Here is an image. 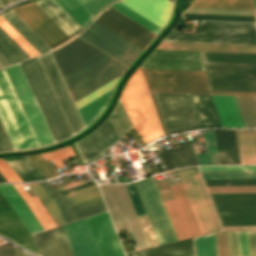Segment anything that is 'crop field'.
<instances>
[{
	"instance_id": "crop-field-67",
	"label": "crop field",
	"mask_w": 256,
	"mask_h": 256,
	"mask_svg": "<svg viewBox=\"0 0 256 256\" xmlns=\"http://www.w3.org/2000/svg\"><path fill=\"white\" fill-rule=\"evenodd\" d=\"M163 6L164 8L168 9L169 11H172L174 3L168 1V0H153Z\"/></svg>"
},
{
	"instance_id": "crop-field-59",
	"label": "crop field",
	"mask_w": 256,
	"mask_h": 256,
	"mask_svg": "<svg viewBox=\"0 0 256 256\" xmlns=\"http://www.w3.org/2000/svg\"><path fill=\"white\" fill-rule=\"evenodd\" d=\"M0 173L8 182H22L3 158H0Z\"/></svg>"
},
{
	"instance_id": "crop-field-3",
	"label": "crop field",
	"mask_w": 256,
	"mask_h": 256,
	"mask_svg": "<svg viewBox=\"0 0 256 256\" xmlns=\"http://www.w3.org/2000/svg\"><path fill=\"white\" fill-rule=\"evenodd\" d=\"M83 183L84 180L59 187L58 183L49 185L43 181L28 186L59 226L106 210L98 189L63 201L55 194Z\"/></svg>"
},
{
	"instance_id": "crop-field-53",
	"label": "crop field",
	"mask_w": 256,
	"mask_h": 256,
	"mask_svg": "<svg viewBox=\"0 0 256 256\" xmlns=\"http://www.w3.org/2000/svg\"><path fill=\"white\" fill-rule=\"evenodd\" d=\"M77 1L87 11V13L93 18V16L101 8H103L113 0H77Z\"/></svg>"
},
{
	"instance_id": "crop-field-69",
	"label": "crop field",
	"mask_w": 256,
	"mask_h": 256,
	"mask_svg": "<svg viewBox=\"0 0 256 256\" xmlns=\"http://www.w3.org/2000/svg\"><path fill=\"white\" fill-rule=\"evenodd\" d=\"M110 116H111V118H112V120H113V122H114V124H115V127H116V129H117V131H118L120 137H122L124 134H123V132H122V130H121V128H120V126H119V124H118V122H117V120H116L114 114H113V112H112V114H111Z\"/></svg>"
},
{
	"instance_id": "crop-field-46",
	"label": "crop field",
	"mask_w": 256,
	"mask_h": 256,
	"mask_svg": "<svg viewBox=\"0 0 256 256\" xmlns=\"http://www.w3.org/2000/svg\"><path fill=\"white\" fill-rule=\"evenodd\" d=\"M203 179L256 178V171L200 172Z\"/></svg>"
},
{
	"instance_id": "crop-field-20",
	"label": "crop field",
	"mask_w": 256,
	"mask_h": 256,
	"mask_svg": "<svg viewBox=\"0 0 256 256\" xmlns=\"http://www.w3.org/2000/svg\"><path fill=\"white\" fill-rule=\"evenodd\" d=\"M118 140L120 138L108 117L95 131L74 144L85 162L90 163L102 157V153Z\"/></svg>"
},
{
	"instance_id": "crop-field-33",
	"label": "crop field",
	"mask_w": 256,
	"mask_h": 256,
	"mask_svg": "<svg viewBox=\"0 0 256 256\" xmlns=\"http://www.w3.org/2000/svg\"><path fill=\"white\" fill-rule=\"evenodd\" d=\"M126 256H194L192 239L126 254Z\"/></svg>"
},
{
	"instance_id": "crop-field-56",
	"label": "crop field",
	"mask_w": 256,
	"mask_h": 256,
	"mask_svg": "<svg viewBox=\"0 0 256 256\" xmlns=\"http://www.w3.org/2000/svg\"><path fill=\"white\" fill-rule=\"evenodd\" d=\"M206 188L209 193L256 192V186L206 187Z\"/></svg>"
},
{
	"instance_id": "crop-field-31",
	"label": "crop field",
	"mask_w": 256,
	"mask_h": 256,
	"mask_svg": "<svg viewBox=\"0 0 256 256\" xmlns=\"http://www.w3.org/2000/svg\"><path fill=\"white\" fill-rule=\"evenodd\" d=\"M220 164H240L234 130H214Z\"/></svg>"
},
{
	"instance_id": "crop-field-8",
	"label": "crop field",
	"mask_w": 256,
	"mask_h": 256,
	"mask_svg": "<svg viewBox=\"0 0 256 256\" xmlns=\"http://www.w3.org/2000/svg\"><path fill=\"white\" fill-rule=\"evenodd\" d=\"M115 228L126 226L140 249L147 243L124 184L99 185Z\"/></svg>"
},
{
	"instance_id": "crop-field-78",
	"label": "crop field",
	"mask_w": 256,
	"mask_h": 256,
	"mask_svg": "<svg viewBox=\"0 0 256 256\" xmlns=\"http://www.w3.org/2000/svg\"><path fill=\"white\" fill-rule=\"evenodd\" d=\"M256 98V97H255Z\"/></svg>"
},
{
	"instance_id": "crop-field-41",
	"label": "crop field",
	"mask_w": 256,
	"mask_h": 256,
	"mask_svg": "<svg viewBox=\"0 0 256 256\" xmlns=\"http://www.w3.org/2000/svg\"><path fill=\"white\" fill-rule=\"evenodd\" d=\"M82 28L92 19L76 0H54Z\"/></svg>"
},
{
	"instance_id": "crop-field-34",
	"label": "crop field",
	"mask_w": 256,
	"mask_h": 256,
	"mask_svg": "<svg viewBox=\"0 0 256 256\" xmlns=\"http://www.w3.org/2000/svg\"><path fill=\"white\" fill-rule=\"evenodd\" d=\"M227 236L230 256H249V247L250 256H256V232H248L249 247L247 232H237L239 254L236 232H227Z\"/></svg>"
},
{
	"instance_id": "crop-field-12",
	"label": "crop field",
	"mask_w": 256,
	"mask_h": 256,
	"mask_svg": "<svg viewBox=\"0 0 256 256\" xmlns=\"http://www.w3.org/2000/svg\"><path fill=\"white\" fill-rule=\"evenodd\" d=\"M13 186L16 188L44 230L56 227V224L53 222L51 217L35 196L30 198L21 184H13ZM13 186L12 184H0V190L11 204L17 215L20 217L26 228L29 230L31 235L43 231V228L40 226Z\"/></svg>"
},
{
	"instance_id": "crop-field-43",
	"label": "crop field",
	"mask_w": 256,
	"mask_h": 256,
	"mask_svg": "<svg viewBox=\"0 0 256 256\" xmlns=\"http://www.w3.org/2000/svg\"><path fill=\"white\" fill-rule=\"evenodd\" d=\"M246 127H256V101L254 97L235 96Z\"/></svg>"
},
{
	"instance_id": "crop-field-1",
	"label": "crop field",
	"mask_w": 256,
	"mask_h": 256,
	"mask_svg": "<svg viewBox=\"0 0 256 256\" xmlns=\"http://www.w3.org/2000/svg\"><path fill=\"white\" fill-rule=\"evenodd\" d=\"M163 41L256 45V24L202 21L195 34L171 30ZM156 48L256 53V46L161 42Z\"/></svg>"
},
{
	"instance_id": "crop-field-15",
	"label": "crop field",
	"mask_w": 256,
	"mask_h": 256,
	"mask_svg": "<svg viewBox=\"0 0 256 256\" xmlns=\"http://www.w3.org/2000/svg\"><path fill=\"white\" fill-rule=\"evenodd\" d=\"M80 37L127 65L142 50L95 21Z\"/></svg>"
},
{
	"instance_id": "crop-field-17",
	"label": "crop field",
	"mask_w": 256,
	"mask_h": 256,
	"mask_svg": "<svg viewBox=\"0 0 256 256\" xmlns=\"http://www.w3.org/2000/svg\"><path fill=\"white\" fill-rule=\"evenodd\" d=\"M12 11L50 48L69 39L34 2Z\"/></svg>"
},
{
	"instance_id": "crop-field-63",
	"label": "crop field",
	"mask_w": 256,
	"mask_h": 256,
	"mask_svg": "<svg viewBox=\"0 0 256 256\" xmlns=\"http://www.w3.org/2000/svg\"><path fill=\"white\" fill-rule=\"evenodd\" d=\"M0 256H15L13 246L7 243L1 244Z\"/></svg>"
},
{
	"instance_id": "crop-field-72",
	"label": "crop field",
	"mask_w": 256,
	"mask_h": 256,
	"mask_svg": "<svg viewBox=\"0 0 256 256\" xmlns=\"http://www.w3.org/2000/svg\"><path fill=\"white\" fill-rule=\"evenodd\" d=\"M11 2H12L11 0H0V7L3 5L9 4Z\"/></svg>"
},
{
	"instance_id": "crop-field-66",
	"label": "crop field",
	"mask_w": 256,
	"mask_h": 256,
	"mask_svg": "<svg viewBox=\"0 0 256 256\" xmlns=\"http://www.w3.org/2000/svg\"><path fill=\"white\" fill-rule=\"evenodd\" d=\"M211 94H226V95H255L256 93H245V92H221V91H210Z\"/></svg>"
},
{
	"instance_id": "crop-field-70",
	"label": "crop field",
	"mask_w": 256,
	"mask_h": 256,
	"mask_svg": "<svg viewBox=\"0 0 256 256\" xmlns=\"http://www.w3.org/2000/svg\"><path fill=\"white\" fill-rule=\"evenodd\" d=\"M0 64L5 67L9 65V63L4 59V57L0 54Z\"/></svg>"
},
{
	"instance_id": "crop-field-38",
	"label": "crop field",
	"mask_w": 256,
	"mask_h": 256,
	"mask_svg": "<svg viewBox=\"0 0 256 256\" xmlns=\"http://www.w3.org/2000/svg\"><path fill=\"white\" fill-rule=\"evenodd\" d=\"M205 62L255 64L256 55L203 52Z\"/></svg>"
},
{
	"instance_id": "crop-field-45",
	"label": "crop field",
	"mask_w": 256,
	"mask_h": 256,
	"mask_svg": "<svg viewBox=\"0 0 256 256\" xmlns=\"http://www.w3.org/2000/svg\"><path fill=\"white\" fill-rule=\"evenodd\" d=\"M182 19H198V20H220V21H248L256 22L255 17L246 16H228V15H210V14H192L183 13Z\"/></svg>"
},
{
	"instance_id": "crop-field-65",
	"label": "crop field",
	"mask_w": 256,
	"mask_h": 256,
	"mask_svg": "<svg viewBox=\"0 0 256 256\" xmlns=\"http://www.w3.org/2000/svg\"><path fill=\"white\" fill-rule=\"evenodd\" d=\"M159 153H160V155H161V157H162V159H163V162H164V164H165L167 170H172V169H174V167H173V165H172V163H171V161H170V159H169V157H168L166 151H165V150H164V151H160Z\"/></svg>"
},
{
	"instance_id": "crop-field-2",
	"label": "crop field",
	"mask_w": 256,
	"mask_h": 256,
	"mask_svg": "<svg viewBox=\"0 0 256 256\" xmlns=\"http://www.w3.org/2000/svg\"><path fill=\"white\" fill-rule=\"evenodd\" d=\"M51 54L69 93L120 63L79 37Z\"/></svg>"
},
{
	"instance_id": "crop-field-35",
	"label": "crop field",
	"mask_w": 256,
	"mask_h": 256,
	"mask_svg": "<svg viewBox=\"0 0 256 256\" xmlns=\"http://www.w3.org/2000/svg\"><path fill=\"white\" fill-rule=\"evenodd\" d=\"M241 164H256V130H235Z\"/></svg>"
},
{
	"instance_id": "crop-field-48",
	"label": "crop field",
	"mask_w": 256,
	"mask_h": 256,
	"mask_svg": "<svg viewBox=\"0 0 256 256\" xmlns=\"http://www.w3.org/2000/svg\"><path fill=\"white\" fill-rule=\"evenodd\" d=\"M0 26L31 56L38 53L0 16Z\"/></svg>"
},
{
	"instance_id": "crop-field-7",
	"label": "crop field",
	"mask_w": 256,
	"mask_h": 256,
	"mask_svg": "<svg viewBox=\"0 0 256 256\" xmlns=\"http://www.w3.org/2000/svg\"><path fill=\"white\" fill-rule=\"evenodd\" d=\"M19 65L26 77V80L34 94V97L55 141L57 142L71 136L72 134L63 118V115L53 97V94L36 59L34 58L28 60L20 63Z\"/></svg>"
},
{
	"instance_id": "crop-field-5",
	"label": "crop field",
	"mask_w": 256,
	"mask_h": 256,
	"mask_svg": "<svg viewBox=\"0 0 256 256\" xmlns=\"http://www.w3.org/2000/svg\"><path fill=\"white\" fill-rule=\"evenodd\" d=\"M144 89L147 88L138 67L126 82L120 99L136 132L147 144L163 134Z\"/></svg>"
},
{
	"instance_id": "crop-field-62",
	"label": "crop field",
	"mask_w": 256,
	"mask_h": 256,
	"mask_svg": "<svg viewBox=\"0 0 256 256\" xmlns=\"http://www.w3.org/2000/svg\"><path fill=\"white\" fill-rule=\"evenodd\" d=\"M0 35L7 40L25 59L30 56L0 27Z\"/></svg>"
},
{
	"instance_id": "crop-field-23",
	"label": "crop field",
	"mask_w": 256,
	"mask_h": 256,
	"mask_svg": "<svg viewBox=\"0 0 256 256\" xmlns=\"http://www.w3.org/2000/svg\"><path fill=\"white\" fill-rule=\"evenodd\" d=\"M126 66L123 64H118L115 67L111 68L107 72L103 73L102 75L98 76L97 78L93 79L92 81L88 82L87 84L83 85L79 89L75 90L74 92L70 93L73 101L78 100L79 98L83 97L84 95L90 93L91 91L95 90L96 88L100 87L101 85L105 84L106 82L112 80L113 78L117 77L118 75L122 74L125 70ZM113 79L112 81L106 83L105 85L101 86L100 88L96 89L95 91L91 92L90 94L84 96L83 98L79 99L78 101L74 102L77 110L85 106L86 104L90 103L91 101L95 100L96 98L100 97L104 93L108 92L109 90L113 89L118 78Z\"/></svg>"
},
{
	"instance_id": "crop-field-21",
	"label": "crop field",
	"mask_w": 256,
	"mask_h": 256,
	"mask_svg": "<svg viewBox=\"0 0 256 256\" xmlns=\"http://www.w3.org/2000/svg\"><path fill=\"white\" fill-rule=\"evenodd\" d=\"M0 235L7 238L11 242L39 255L30 233L25 228L1 192Z\"/></svg>"
},
{
	"instance_id": "crop-field-40",
	"label": "crop field",
	"mask_w": 256,
	"mask_h": 256,
	"mask_svg": "<svg viewBox=\"0 0 256 256\" xmlns=\"http://www.w3.org/2000/svg\"><path fill=\"white\" fill-rule=\"evenodd\" d=\"M203 136L206 153L196 154L198 164H219L213 130H207V133H203Z\"/></svg>"
},
{
	"instance_id": "crop-field-13",
	"label": "crop field",
	"mask_w": 256,
	"mask_h": 256,
	"mask_svg": "<svg viewBox=\"0 0 256 256\" xmlns=\"http://www.w3.org/2000/svg\"><path fill=\"white\" fill-rule=\"evenodd\" d=\"M159 244L178 240L154 177L135 182Z\"/></svg>"
},
{
	"instance_id": "crop-field-30",
	"label": "crop field",
	"mask_w": 256,
	"mask_h": 256,
	"mask_svg": "<svg viewBox=\"0 0 256 256\" xmlns=\"http://www.w3.org/2000/svg\"><path fill=\"white\" fill-rule=\"evenodd\" d=\"M35 3L69 38L82 29L52 0H39Z\"/></svg>"
},
{
	"instance_id": "crop-field-49",
	"label": "crop field",
	"mask_w": 256,
	"mask_h": 256,
	"mask_svg": "<svg viewBox=\"0 0 256 256\" xmlns=\"http://www.w3.org/2000/svg\"><path fill=\"white\" fill-rule=\"evenodd\" d=\"M95 21L99 22L100 24L104 25L105 27L109 28L110 30L114 31L115 33L119 34L123 38L127 39L142 49H144L147 45L100 16H98Z\"/></svg>"
},
{
	"instance_id": "crop-field-39",
	"label": "crop field",
	"mask_w": 256,
	"mask_h": 256,
	"mask_svg": "<svg viewBox=\"0 0 256 256\" xmlns=\"http://www.w3.org/2000/svg\"><path fill=\"white\" fill-rule=\"evenodd\" d=\"M166 150L176 169L197 165L191 145Z\"/></svg>"
},
{
	"instance_id": "crop-field-42",
	"label": "crop field",
	"mask_w": 256,
	"mask_h": 256,
	"mask_svg": "<svg viewBox=\"0 0 256 256\" xmlns=\"http://www.w3.org/2000/svg\"><path fill=\"white\" fill-rule=\"evenodd\" d=\"M111 92L112 90L78 110L86 127L102 112Z\"/></svg>"
},
{
	"instance_id": "crop-field-16",
	"label": "crop field",
	"mask_w": 256,
	"mask_h": 256,
	"mask_svg": "<svg viewBox=\"0 0 256 256\" xmlns=\"http://www.w3.org/2000/svg\"><path fill=\"white\" fill-rule=\"evenodd\" d=\"M45 78L55 96V99L64 115V118L72 132L77 133L84 128L75 107L67 93V90L58 74V71L48 53L36 58Z\"/></svg>"
},
{
	"instance_id": "crop-field-36",
	"label": "crop field",
	"mask_w": 256,
	"mask_h": 256,
	"mask_svg": "<svg viewBox=\"0 0 256 256\" xmlns=\"http://www.w3.org/2000/svg\"><path fill=\"white\" fill-rule=\"evenodd\" d=\"M4 159L23 182L45 179L43 175L38 171V169L33 165V163L27 158V156Z\"/></svg>"
},
{
	"instance_id": "crop-field-76",
	"label": "crop field",
	"mask_w": 256,
	"mask_h": 256,
	"mask_svg": "<svg viewBox=\"0 0 256 256\" xmlns=\"http://www.w3.org/2000/svg\"><path fill=\"white\" fill-rule=\"evenodd\" d=\"M0 68H2V66L0 65Z\"/></svg>"
},
{
	"instance_id": "crop-field-50",
	"label": "crop field",
	"mask_w": 256,
	"mask_h": 256,
	"mask_svg": "<svg viewBox=\"0 0 256 256\" xmlns=\"http://www.w3.org/2000/svg\"><path fill=\"white\" fill-rule=\"evenodd\" d=\"M47 161L51 160L58 168L63 167L61 162L64 159L74 156L70 146L63 149L47 152L42 154Z\"/></svg>"
},
{
	"instance_id": "crop-field-71",
	"label": "crop field",
	"mask_w": 256,
	"mask_h": 256,
	"mask_svg": "<svg viewBox=\"0 0 256 256\" xmlns=\"http://www.w3.org/2000/svg\"><path fill=\"white\" fill-rule=\"evenodd\" d=\"M14 249H15L16 256H30V255H28V254H26V253H24V252H22V251H20L16 248H14Z\"/></svg>"
},
{
	"instance_id": "crop-field-28",
	"label": "crop field",
	"mask_w": 256,
	"mask_h": 256,
	"mask_svg": "<svg viewBox=\"0 0 256 256\" xmlns=\"http://www.w3.org/2000/svg\"><path fill=\"white\" fill-rule=\"evenodd\" d=\"M209 195L216 210L256 209V193Z\"/></svg>"
},
{
	"instance_id": "crop-field-55",
	"label": "crop field",
	"mask_w": 256,
	"mask_h": 256,
	"mask_svg": "<svg viewBox=\"0 0 256 256\" xmlns=\"http://www.w3.org/2000/svg\"><path fill=\"white\" fill-rule=\"evenodd\" d=\"M204 182L206 186L256 185V179L204 180Z\"/></svg>"
},
{
	"instance_id": "crop-field-24",
	"label": "crop field",
	"mask_w": 256,
	"mask_h": 256,
	"mask_svg": "<svg viewBox=\"0 0 256 256\" xmlns=\"http://www.w3.org/2000/svg\"><path fill=\"white\" fill-rule=\"evenodd\" d=\"M185 12L255 16L252 0H195Z\"/></svg>"
},
{
	"instance_id": "crop-field-60",
	"label": "crop field",
	"mask_w": 256,
	"mask_h": 256,
	"mask_svg": "<svg viewBox=\"0 0 256 256\" xmlns=\"http://www.w3.org/2000/svg\"><path fill=\"white\" fill-rule=\"evenodd\" d=\"M210 90L221 91H245L256 92V87L253 86H223V85H209Z\"/></svg>"
},
{
	"instance_id": "crop-field-37",
	"label": "crop field",
	"mask_w": 256,
	"mask_h": 256,
	"mask_svg": "<svg viewBox=\"0 0 256 256\" xmlns=\"http://www.w3.org/2000/svg\"><path fill=\"white\" fill-rule=\"evenodd\" d=\"M222 226L256 225V210L216 211Z\"/></svg>"
},
{
	"instance_id": "crop-field-77",
	"label": "crop field",
	"mask_w": 256,
	"mask_h": 256,
	"mask_svg": "<svg viewBox=\"0 0 256 256\" xmlns=\"http://www.w3.org/2000/svg\"><path fill=\"white\" fill-rule=\"evenodd\" d=\"M0 243H2V241H0Z\"/></svg>"
},
{
	"instance_id": "crop-field-27",
	"label": "crop field",
	"mask_w": 256,
	"mask_h": 256,
	"mask_svg": "<svg viewBox=\"0 0 256 256\" xmlns=\"http://www.w3.org/2000/svg\"><path fill=\"white\" fill-rule=\"evenodd\" d=\"M211 96L222 127H245L234 96Z\"/></svg>"
},
{
	"instance_id": "crop-field-51",
	"label": "crop field",
	"mask_w": 256,
	"mask_h": 256,
	"mask_svg": "<svg viewBox=\"0 0 256 256\" xmlns=\"http://www.w3.org/2000/svg\"><path fill=\"white\" fill-rule=\"evenodd\" d=\"M40 172L45 176L46 179L58 176L56 171L50 166V164L43 158L41 154L28 156ZM27 157V158H28Z\"/></svg>"
},
{
	"instance_id": "crop-field-58",
	"label": "crop field",
	"mask_w": 256,
	"mask_h": 256,
	"mask_svg": "<svg viewBox=\"0 0 256 256\" xmlns=\"http://www.w3.org/2000/svg\"><path fill=\"white\" fill-rule=\"evenodd\" d=\"M215 237H216L217 255L229 256L226 232H217L215 233Z\"/></svg>"
},
{
	"instance_id": "crop-field-14",
	"label": "crop field",
	"mask_w": 256,
	"mask_h": 256,
	"mask_svg": "<svg viewBox=\"0 0 256 256\" xmlns=\"http://www.w3.org/2000/svg\"><path fill=\"white\" fill-rule=\"evenodd\" d=\"M4 70L13 86V89L23 107V110L32 126V129L40 145L44 146L54 143L55 141L48 129V126L40 112V109L33 97V94L25 80V77L19 65L17 64L5 68Z\"/></svg>"
},
{
	"instance_id": "crop-field-73",
	"label": "crop field",
	"mask_w": 256,
	"mask_h": 256,
	"mask_svg": "<svg viewBox=\"0 0 256 256\" xmlns=\"http://www.w3.org/2000/svg\"><path fill=\"white\" fill-rule=\"evenodd\" d=\"M0 182H7L5 178L0 174Z\"/></svg>"
},
{
	"instance_id": "crop-field-44",
	"label": "crop field",
	"mask_w": 256,
	"mask_h": 256,
	"mask_svg": "<svg viewBox=\"0 0 256 256\" xmlns=\"http://www.w3.org/2000/svg\"><path fill=\"white\" fill-rule=\"evenodd\" d=\"M196 256H217L214 233L194 238Z\"/></svg>"
},
{
	"instance_id": "crop-field-75",
	"label": "crop field",
	"mask_w": 256,
	"mask_h": 256,
	"mask_svg": "<svg viewBox=\"0 0 256 256\" xmlns=\"http://www.w3.org/2000/svg\"><path fill=\"white\" fill-rule=\"evenodd\" d=\"M170 1L175 2V0H170Z\"/></svg>"
},
{
	"instance_id": "crop-field-64",
	"label": "crop field",
	"mask_w": 256,
	"mask_h": 256,
	"mask_svg": "<svg viewBox=\"0 0 256 256\" xmlns=\"http://www.w3.org/2000/svg\"><path fill=\"white\" fill-rule=\"evenodd\" d=\"M97 188H98L97 185H95V186L85 188V189H82V190H79V191H76V192H73V193H70V194L60 196V199L63 200V199H66V198H69V197H72V196H75V195H78V194H82V193H85V192H88V191H91V190H94V189H97Z\"/></svg>"
},
{
	"instance_id": "crop-field-68",
	"label": "crop field",
	"mask_w": 256,
	"mask_h": 256,
	"mask_svg": "<svg viewBox=\"0 0 256 256\" xmlns=\"http://www.w3.org/2000/svg\"><path fill=\"white\" fill-rule=\"evenodd\" d=\"M86 185H88L87 187H89V186L95 185V183H94V181H92V182H89V183H87L85 185H82V186H79V187H76V188H73V189H69V190L57 193V195L60 196V195L66 194V193H70V192H73V191L85 188Z\"/></svg>"
},
{
	"instance_id": "crop-field-74",
	"label": "crop field",
	"mask_w": 256,
	"mask_h": 256,
	"mask_svg": "<svg viewBox=\"0 0 256 256\" xmlns=\"http://www.w3.org/2000/svg\"><path fill=\"white\" fill-rule=\"evenodd\" d=\"M254 4H255V9H256V0H254Z\"/></svg>"
},
{
	"instance_id": "crop-field-57",
	"label": "crop field",
	"mask_w": 256,
	"mask_h": 256,
	"mask_svg": "<svg viewBox=\"0 0 256 256\" xmlns=\"http://www.w3.org/2000/svg\"><path fill=\"white\" fill-rule=\"evenodd\" d=\"M200 171L256 170V165L199 166Z\"/></svg>"
},
{
	"instance_id": "crop-field-29",
	"label": "crop field",
	"mask_w": 256,
	"mask_h": 256,
	"mask_svg": "<svg viewBox=\"0 0 256 256\" xmlns=\"http://www.w3.org/2000/svg\"><path fill=\"white\" fill-rule=\"evenodd\" d=\"M188 95L201 129L221 127L210 95Z\"/></svg>"
},
{
	"instance_id": "crop-field-47",
	"label": "crop field",
	"mask_w": 256,
	"mask_h": 256,
	"mask_svg": "<svg viewBox=\"0 0 256 256\" xmlns=\"http://www.w3.org/2000/svg\"><path fill=\"white\" fill-rule=\"evenodd\" d=\"M110 7L114 8L115 10L119 11L120 13L124 14L125 16L136 21L137 23L141 24L142 26L146 27L147 29L151 30L156 34L161 30L118 2L114 3Z\"/></svg>"
},
{
	"instance_id": "crop-field-19",
	"label": "crop field",
	"mask_w": 256,
	"mask_h": 256,
	"mask_svg": "<svg viewBox=\"0 0 256 256\" xmlns=\"http://www.w3.org/2000/svg\"><path fill=\"white\" fill-rule=\"evenodd\" d=\"M141 68L204 71L201 52L156 50Z\"/></svg>"
},
{
	"instance_id": "crop-field-4",
	"label": "crop field",
	"mask_w": 256,
	"mask_h": 256,
	"mask_svg": "<svg viewBox=\"0 0 256 256\" xmlns=\"http://www.w3.org/2000/svg\"><path fill=\"white\" fill-rule=\"evenodd\" d=\"M86 219L101 256H124L107 212ZM86 219L63 227L75 256H100Z\"/></svg>"
},
{
	"instance_id": "crop-field-11",
	"label": "crop field",
	"mask_w": 256,
	"mask_h": 256,
	"mask_svg": "<svg viewBox=\"0 0 256 256\" xmlns=\"http://www.w3.org/2000/svg\"><path fill=\"white\" fill-rule=\"evenodd\" d=\"M142 70L150 91L209 93L204 72Z\"/></svg>"
},
{
	"instance_id": "crop-field-52",
	"label": "crop field",
	"mask_w": 256,
	"mask_h": 256,
	"mask_svg": "<svg viewBox=\"0 0 256 256\" xmlns=\"http://www.w3.org/2000/svg\"><path fill=\"white\" fill-rule=\"evenodd\" d=\"M0 53L5 57V59L10 64L24 60V58L1 36H0Z\"/></svg>"
},
{
	"instance_id": "crop-field-9",
	"label": "crop field",
	"mask_w": 256,
	"mask_h": 256,
	"mask_svg": "<svg viewBox=\"0 0 256 256\" xmlns=\"http://www.w3.org/2000/svg\"><path fill=\"white\" fill-rule=\"evenodd\" d=\"M187 180L188 186L192 193V196L195 200L201 218L204 222L206 230L208 233L221 231L220 226L218 224L217 218L215 216L214 210L212 208L211 202L209 200L208 194L206 192L205 186L203 184L202 178L198 171L197 167L185 168L182 169ZM181 169L176 170L184 191L186 193L187 199L197 221L198 227L200 229L201 234H206L205 227L202 223L196 205L193 201L189 188L187 186L186 180L184 178L183 172Z\"/></svg>"
},
{
	"instance_id": "crop-field-6",
	"label": "crop field",
	"mask_w": 256,
	"mask_h": 256,
	"mask_svg": "<svg viewBox=\"0 0 256 256\" xmlns=\"http://www.w3.org/2000/svg\"><path fill=\"white\" fill-rule=\"evenodd\" d=\"M0 120L15 150L39 146L3 69L0 70Z\"/></svg>"
},
{
	"instance_id": "crop-field-22",
	"label": "crop field",
	"mask_w": 256,
	"mask_h": 256,
	"mask_svg": "<svg viewBox=\"0 0 256 256\" xmlns=\"http://www.w3.org/2000/svg\"><path fill=\"white\" fill-rule=\"evenodd\" d=\"M209 84L254 85L256 66L205 63Z\"/></svg>"
},
{
	"instance_id": "crop-field-54",
	"label": "crop field",
	"mask_w": 256,
	"mask_h": 256,
	"mask_svg": "<svg viewBox=\"0 0 256 256\" xmlns=\"http://www.w3.org/2000/svg\"><path fill=\"white\" fill-rule=\"evenodd\" d=\"M113 112H114L124 134L133 128L120 99H119L118 104L115 107Z\"/></svg>"
},
{
	"instance_id": "crop-field-26",
	"label": "crop field",
	"mask_w": 256,
	"mask_h": 256,
	"mask_svg": "<svg viewBox=\"0 0 256 256\" xmlns=\"http://www.w3.org/2000/svg\"><path fill=\"white\" fill-rule=\"evenodd\" d=\"M159 28L168 22L171 12L152 0H120L118 1Z\"/></svg>"
},
{
	"instance_id": "crop-field-25",
	"label": "crop field",
	"mask_w": 256,
	"mask_h": 256,
	"mask_svg": "<svg viewBox=\"0 0 256 256\" xmlns=\"http://www.w3.org/2000/svg\"><path fill=\"white\" fill-rule=\"evenodd\" d=\"M33 238L40 256H74L62 226Z\"/></svg>"
},
{
	"instance_id": "crop-field-18",
	"label": "crop field",
	"mask_w": 256,
	"mask_h": 256,
	"mask_svg": "<svg viewBox=\"0 0 256 256\" xmlns=\"http://www.w3.org/2000/svg\"><path fill=\"white\" fill-rule=\"evenodd\" d=\"M175 200L164 201L179 240L201 235L181 185L172 186Z\"/></svg>"
},
{
	"instance_id": "crop-field-61",
	"label": "crop field",
	"mask_w": 256,
	"mask_h": 256,
	"mask_svg": "<svg viewBox=\"0 0 256 256\" xmlns=\"http://www.w3.org/2000/svg\"><path fill=\"white\" fill-rule=\"evenodd\" d=\"M14 150L0 122V151Z\"/></svg>"
},
{
	"instance_id": "crop-field-10",
	"label": "crop field",
	"mask_w": 256,
	"mask_h": 256,
	"mask_svg": "<svg viewBox=\"0 0 256 256\" xmlns=\"http://www.w3.org/2000/svg\"><path fill=\"white\" fill-rule=\"evenodd\" d=\"M153 94L168 135L200 129L187 94Z\"/></svg>"
},
{
	"instance_id": "crop-field-32",
	"label": "crop field",
	"mask_w": 256,
	"mask_h": 256,
	"mask_svg": "<svg viewBox=\"0 0 256 256\" xmlns=\"http://www.w3.org/2000/svg\"><path fill=\"white\" fill-rule=\"evenodd\" d=\"M108 8L109 9L106 12L103 11L100 16L124 29L128 33L142 40L143 42L149 44V42L156 35L151 31L147 30L146 28L142 27L141 25L137 24L136 22L120 14L119 12L115 11L114 9L110 7Z\"/></svg>"
}]
</instances>
